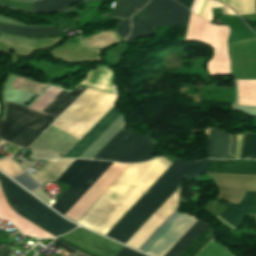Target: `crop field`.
<instances>
[{"instance_id":"1","label":"crop field","mask_w":256,"mask_h":256,"mask_svg":"<svg viewBox=\"0 0 256 256\" xmlns=\"http://www.w3.org/2000/svg\"><path fill=\"white\" fill-rule=\"evenodd\" d=\"M170 164L161 157L130 164L76 223L105 235Z\"/></svg>"},{"instance_id":"2","label":"crop field","mask_w":256,"mask_h":256,"mask_svg":"<svg viewBox=\"0 0 256 256\" xmlns=\"http://www.w3.org/2000/svg\"><path fill=\"white\" fill-rule=\"evenodd\" d=\"M76 86L69 93L49 87L30 108L6 101L4 121H0V139L28 147L84 90Z\"/></svg>"},{"instance_id":"3","label":"crop field","mask_w":256,"mask_h":256,"mask_svg":"<svg viewBox=\"0 0 256 256\" xmlns=\"http://www.w3.org/2000/svg\"><path fill=\"white\" fill-rule=\"evenodd\" d=\"M209 167V160L185 162L177 159L106 236L125 244L181 184L184 176L190 181L207 172Z\"/></svg>"},{"instance_id":"4","label":"crop field","mask_w":256,"mask_h":256,"mask_svg":"<svg viewBox=\"0 0 256 256\" xmlns=\"http://www.w3.org/2000/svg\"><path fill=\"white\" fill-rule=\"evenodd\" d=\"M118 96L88 89L53 124L81 138L113 106ZM51 127L33 146L65 154L79 139Z\"/></svg>"},{"instance_id":"5","label":"crop field","mask_w":256,"mask_h":256,"mask_svg":"<svg viewBox=\"0 0 256 256\" xmlns=\"http://www.w3.org/2000/svg\"><path fill=\"white\" fill-rule=\"evenodd\" d=\"M176 191L134 234L126 245L141 251L179 212ZM196 220L179 213L143 250L151 256H162Z\"/></svg>"},{"instance_id":"6","label":"crop field","mask_w":256,"mask_h":256,"mask_svg":"<svg viewBox=\"0 0 256 256\" xmlns=\"http://www.w3.org/2000/svg\"><path fill=\"white\" fill-rule=\"evenodd\" d=\"M0 178L10 204L22 215L42 226L54 235H62L75 225L57 216L35 197L0 173Z\"/></svg>"},{"instance_id":"7","label":"crop field","mask_w":256,"mask_h":256,"mask_svg":"<svg viewBox=\"0 0 256 256\" xmlns=\"http://www.w3.org/2000/svg\"><path fill=\"white\" fill-rule=\"evenodd\" d=\"M189 10L173 0H150V3L131 17V32L124 41L154 33L153 26L186 25Z\"/></svg>"},{"instance_id":"8","label":"crop field","mask_w":256,"mask_h":256,"mask_svg":"<svg viewBox=\"0 0 256 256\" xmlns=\"http://www.w3.org/2000/svg\"><path fill=\"white\" fill-rule=\"evenodd\" d=\"M111 164L105 161L76 160L56 180L71 187L52 208L64 215Z\"/></svg>"},{"instance_id":"9","label":"crop field","mask_w":256,"mask_h":256,"mask_svg":"<svg viewBox=\"0 0 256 256\" xmlns=\"http://www.w3.org/2000/svg\"><path fill=\"white\" fill-rule=\"evenodd\" d=\"M153 141L144 135L120 131L93 159H107L119 162H142L156 153Z\"/></svg>"},{"instance_id":"10","label":"crop field","mask_w":256,"mask_h":256,"mask_svg":"<svg viewBox=\"0 0 256 256\" xmlns=\"http://www.w3.org/2000/svg\"><path fill=\"white\" fill-rule=\"evenodd\" d=\"M229 35L227 26L210 24L191 13L185 41H201L209 44L214 53L228 52L226 41Z\"/></svg>"},{"instance_id":"11","label":"crop field","mask_w":256,"mask_h":256,"mask_svg":"<svg viewBox=\"0 0 256 256\" xmlns=\"http://www.w3.org/2000/svg\"><path fill=\"white\" fill-rule=\"evenodd\" d=\"M128 165L129 164L113 163L89 188V190L72 206L65 216L77 221Z\"/></svg>"},{"instance_id":"12","label":"crop field","mask_w":256,"mask_h":256,"mask_svg":"<svg viewBox=\"0 0 256 256\" xmlns=\"http://www.w3.org/2000/svg\"><path fill=\"white\" fill-rule=\"evenodd\" d=\"M214 179L218 199L239 203L245 191H256V176L207 174Z\"/></svg>"},{"instance_id":"13","label":"crop field","mask_w":256,"mask_h":256,"mask_svg":"<svg viewBox=\"0 0 256 256\" xmlns=\"http://www.w3.org/2000/svg\"><path fill=\"white\" fill-rule=\"evenodd\" d=\"M148 0H115L108 15L110 18L120 19V24L114 30L122 39L129 33L130 16L140 10Z\"/></svg>"},{"instance_id":"14","label":"crop field","mask_w":256,"mask_h":256,"mask_svg":"<svg viewBox=\"0 0 256 256\" xmlns=\"http://www.w3.org/2000/svg\"><path fill=\"white\" fill-rule=\"evenodd\" d=\"M121 114L113 107L65 156L78 158Z\"/></svg>"},{"instance_id":"15","label":"crop field","mask_w":256,"mask_h":256,"mask_svg":"<svg viewBox=\"0 0 256 256\" xmlns=\"http://www.w3.org/2000/svg\"><path fill=\"white\" fill-rule=\"evenodd\" d=\"M255 201L256 192H245L239 204L228 203V206L218 216L237 228L239 223L251 210ZM249 214L256 215V203Z\"/></svg>"},{"instance_id":"16","label":"crop field","mask_w":256,"mask_h":256,"mask_svg":"<svg viewBox=\"0 0 256 256\" xmlns=\"http://www.w3.org/2000/svg\"><path fill=\"white\" fill-rule=\"evenodd\" d=\"M207 173L256 175V160L212 161Z\"/></svg>"},{"instance_id":"17","label":"crop field","mask_w":256,"mask_h":256,"mask_svg":"<svg viewBox=\"0 0 256 256\" xmlns=\"http://www.w3.org/2000/svg\"><path fill=\"white\" fill-rule=\"evenodd\" d=\"M80 85L114 94L118 93L113 81V73L105 66H98L94 70L89 71L86 79Z\"/></svg>"},{"instance_id":"18","label":"crop field","mask_w":256,"mask_h":256,"mask_svg":"<svg viewBox=\"0 0 256 256\" xmlns=\"http://www.w3.org/2000/svg\"><path fill=\"white\" fill-rule=\"evenodd\" d=\"M0 218L13 222L24 234L35 237H52L35 225L16 215L6 203L0 187Z\"/></svg>"},{"instance_id":"19","label":"crop field","mask_w":256,"mask_h":256,"mask_svg":"<svg viewBox=\"0 0 256 256\" xmlns=\"http://www.w3.org/2000/svg\"><path fill=\"white\" fill-rule=\"evenodd\" d=\"M75 160H54L47 161L38 171L30 174L35 180L44 183L56 180Z\"/></svg>"},{"instance_id":"20","label":"crop field","mask_w":256,"mask_h":256,"mask_svg":"<svg viewBox=\"0 0 256 256\" xmlns=\"http://www.w3.org/2000/svg\"><path fill=\"white\" fill-rule=\"evenodd\" d=\"M0 31L27 37H55L60 31L56 27H20L0 23Z\"/></svg>"},{"instance_id":"21","label":"crop field","mask_w":256,"mask_h":256,"mask_svg":"<svg viewBox=\"0 0 256 256\" xmlns=\"http://www.w3.org/2000/svg\"><path fill=\"white\" fill-rule=\"evenodd\" d=\"M229 137V135L222 133L218 129H210L208 157L225 159L229 146Z\"/></svg>"},{"instance_id":"22","label":"crop field","mask_w":256,"mask_h":256,"mask_svg":"<svg viewBox=\"0 0 256 256\" xmlns=\"http://www.w3.org/2000/svg\"><path fill=\"white\" fill-rule=\"evenodd\" d=\"M206 227V224L197 221L166 256H180V254L199 236V234Z\"/></svg>"},{"instance_id":"23","label":"crop field","mask_w":256,"mask_h":256,"mask_svg":"<svg viewBox=\"0 0 256 256\" xmlns=\"http://www.w3.org/2000/svg\"><path fill=\"white\" fill-rule=\"evenodd\" d=\"M238 105L256 106V81L236 80Z\"/></svg>"},{"instance_id":"24","label":"crop field","mask_w":256,"mask_h":256,"mask_svg":"<svg viewBox=\"0 0 256 256\" xmlns=\"http://www.w3.org/2000/svg\"><path fill=\"white\" fill-rule=\"evenodd\" d=\"M121 39L118 37V35L111 30L96 34L94 36H91L87 39L82 40L81 42L91 48L99 50L101 48L107 47L109 45H112Z\"/></svg>"},{"instance_id":"25","label":"crop field","mask_w":256,"mask_h":256,"mask_svg":"<svg viewBox=\"0 0 256 256\" xmlns=\"http://www.w3.org/2000/svg\"><path fill=\"white\" fill-rule=\"evenodd\" d=\"M217 7H222L223 14H234L226 6L211 0H194L191 11L196 13L202 18L212 21L213 17L211 15L210 9L217 8Z\"/></svg>"},{"instance_id":"26","label":"crop field","mask_w":256,"mask_h":256,"mask_svg":"<svg viewBox=\"0 0 256 256\" xmlns=\"http://www.w3.org/2000/svg\"><path fill=\"white\" fill-rule=\"evenodd\" d=\"M207 70L209 76L230 74L228 53L213 54L207 63Z\"/></svg>"},{"instance_id":"27","label":"crop field","mask_w":256,"mask_h":256,"mask_svg":"<svg viewBox=\"0 0 256 256\" xmlns=\"http://www.w3.org/2000/svg\"><path fill=\"white\" fill-rule=\"evenodd\" d=\"M80 0H39L32 2V11L52 12L65 9Z\"/></svg>"},{"instance_id":"28","label":"crop field","mask_w":256,"mask_h":256,"mask_svg":"<svg viewBox=\"0 0 256 256\" xmlns=\"http://www.w3.org/2000/svg\"><path fill=\"white\" fill-rule=\"evenodd\" d=\"M232 6L239 15L255 14V0H220Z\"/></svg>"},{"instance_id":"29","label":"crop field","mask_w":256,"mask_h":256,"mask_svg":"<svg viewBox=\"0 0 256 256\" xmlns=\"http://www.w3.org/2000/svg\"><path fill=\"white\" fill-rule=\"evenodd\" d=\"M211 235L207 227L200 236L181 254V256H195L202 247L210 240Z\"/></svg>"},{"instance_id":"30","label":"crop field","mask_w":256,"mask_h":256,"mask_svg":"<svg viewBox=\"0 0 256 256\" xmlns=\"http://www.w3.org/2000/svg\"><path fill=\"white\" fill-rule=\"evenodd\" d=\"M197 256H232L223 246L210 242Z\"/></svg>"},{"instance_id":"31","label":"crop field","mask_w":256,"mask_h":256,"mask_svg":"<svg viewBox=\"0 0 256 256\" xmlns=\"http://www.w3.org/2000/svg\"><path fill=\"white\" fill-rule=\"evenodd\" d=\"M0 169L9 175L11 178L18 175L19 173L23 172L13 160L11 159H4L0 161Z\"/></svg>"},{"instance_id":"32","label":"crop field","mask_w":256,"mask_h":256,"mask_svg":"<svg viewBox=\"0 0 256 256\" xmlns=\"http://www.w3.org/2000/svg\"><path fill=\"white\" fill-rule=\"evenodd\" d=\"M12 179L31 192L36 190L37 188L41 187V185H39L37 182H35L33 179H31L27 175L26 172L12 178Z\"/></svg>"},{"instance_id":"33","label":"crop field","mask_w":256,"mask_h":256,"mask_svg":"<svg viewBox=\"0 0 256 256\" xmlns=\"http://www.w3.org/2000/svg\"><path fill=\"white\" fill-rule=\"evenodd\" d=\"M255 135L245 134L241 156L252 157Z\"/></svg>"},{"instance_id":"34","label":"crop field","mask_w":256,"mask_h":256,"mask_svg":"<svg viewBox=\"0 0 256 256\" xmlns=\"http://www.w3.org/2000/svg\"><path fill=\"white\" fill-rule=\"evenodd\" d=\"M52 243L57 245L59 248H61L63 251L69 253L68 256H87L84 253L70 247L69 245L55 239Z\"/></svg>"},{"instance_id":"35","label":"crop field","mask_w":256,"mask_h":256,"mask_svg":"<svg viewBox=\"0 0 256 256\" xmlns=\"http://www.w3.org/2000/svg\"><path fill=\"white\" fill-rule=\"evenodd\" d=\"M116 256H144L124 247Z\"/></svg>"},{"instance_id":"36","label":"crop field","mask_w":256,"mask_h":256,"mask_svg":"<svg viewBox=\"0 0 256 256\" xmlns=\"http://www.w3.org/2000/svg\"><path fill=\"white\" fill-rule=\"evenodd\" d=\"M6 235V232L0 230V241L1 239ZM10 250L9 248H5V247H0V256H9L10 254Z\"/></svg>"},{"instance_id":"37","label":"crop field","mask_w":256,"mask_h":256,"mask_svg":"<svg viewBox=\"0 0 256 256\" xmlns=\"http://www.w3.org/2000/svg\"><path fill=\"white\" fill-rule=\"evenodd\" d=\"M176 1L181 3L186 8L190 9V6H191V3H192L193 0H176Z\"/></svg>"},{"instance_id":"38","label":"crop field","mask_w":256,"mask_h":256,"mask_svg":"<svg viewBox=\"0 0 256 256\" xmlns=\"http://www.w3.org/2000/svg\"><path fill=\"white\" fill-rule=\"evenodd\" d=\"M235 144H236V138H235V136H232L230 154L233 155V156H234V153H235Z\"/></svg>"},{"instance_id":"39","label":"crop field","mask_w":256,"mask_h":256,"mask_svg":"<svg viewBox=\"0 0 256 256\" xmlns=\"http://www.w3.org/2000/svg\"><path fill=\"white\" fill-rule=\"evenodd\" d=\"M253 158H256V141H255V146H254V154H253Z\"/></svg>"},{"instance_id":"40","label":"crop field","mask_w":256,"mask_h":256,"mask_svg":"<svg viewBox=\"0 0 256 256\" xmlns=\"http://www.w3.org/2000/svg\"><path fill=\"white\" fill-rule=\"evenodd\" d=\"M256 218V217H255Z\"/></svg>"}]
</instances>
